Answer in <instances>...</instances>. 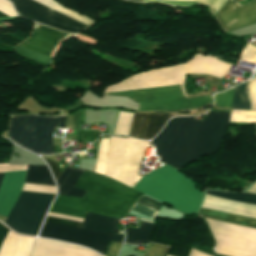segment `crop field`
<instances>
[{
    "mask_svg": "<svg viewBox=\"0 0 256 256\" xmlns=\"http://www.w3.org/2000/svg\"><path fill=\"white\" fill-rule=\"evenodd\" d=\"M148 144L111 137L104 175L133 188L140 178L137 173ZM105 176L85 171L74 185L87 191L84 198L57 195L50 211L82 218L87 211L122 218L141 193Z\"/></svg>",
    "mask_w": 256,
    "mask_h": 256,
    "instance_id": "obj_1",
    "label": "crop field"
},
{
    "mask_svg": "<svg viewBox=\"0 0 256 256\" xmlns=\"http://www.w3.org/2000/svg\"><path fill=\"white\" fill-rule=\"evenodd\" d=\"M230 64L216 58L195 54L184 64L134 75L106 88L104 93L182 84L186 73L209 74L222 78ZM181 85L109 93L124 96L139 104L138 111H192L212 105V97L186 98ZM183 93L185 94L184 90Z\"/></svg>",
    "mask_w": 256,
    "mask_h": 256,
    "instance_id": "obj_2",
    "label": "crop field"
},
{
    "mask_svg": "<svg viewBox=\"0 0 256 256\" xmlns=\"http://www.w3.org/2000/svg\"><path fill=\"white\" fill-rule=\"evenodd\" d=\"M230 113L208 112L204 121L174 118L152 140L160 162L181 168L218 150Z\"/></svg>",
    "mask_w": 256,
    "mask_h": 256,
    "instance_id": "obj_3",
    "label": "crop field"
},
{
    "mask_svg": "<svg viewBox=\"0 0 256 256\" xmlns=\"http://www.w3.org/2000/svg\"><path fill=\"white\" fill-rule=\"evenodd\" d=\"M184 173L164 165L145 175L134 187L186 214H196L204 193Z\"/></svg>",
    "mask_w": 256,
    "mask_h": 256,
    "instance_id": "obj_4",
    "label": "crop field"
},
{
    "mask_svg": "<svg viewBox=\"0 0 256 256\" xmlns=\"http://www.w3.org/2000/svg\"><path fill=\"white\" fill-rule=\"evenodd\" d=\"M54 128H65V116H11V141L37 154H52Z\"/></svg>",
    "mask_w": 256,
    "mask_h": 256,
    "instance_id": "obj_5",
    "label": "crop field"
},
{
    "mask_svg": "<svg viewBox=\"0 0 256 256\" xmlns=\"http://www.w3.org/2000/svg\"><path fill=\"white\" fill-rule=\"evenodd\" d=\"M217 194L256 202V195L254 194H248L243 192L217 193ZM221 195L205 192V197L201 206L256 218L255 202L230 198V197L221 196ZM203 207L200 208V211L197 216L256 229L255 218L226 213V212L212 210V209L203 208Z\"/></svg>",
    "mask_w": 256,
    "mask_h": 256,
    "instance_id": "obj_6",
    "label": "crop field"
},
{
    "mask_svg": "<svg viewBox=\"0 0 256 256\" xmlns=\"http://www.w3.org/2000/svg\"><path fill=\"white\" fill-rule=\"evenodd\" d=\"M54 196L22 192L4 223L16 232L36 236Z\"/></svg>",
    "mask_w": 256,
    "mask_h": 256,
    "instance_id": "obj_7",
    "label": "crop field"
},
{
    "mask_svg": "<svg viewBox=\"0 0 256 256\" xmlns=\"http://www.w3.org/2000/svg\"><path fill=\"white\" fill-rule=\"evenodd\" d=\"M9 1L13 3L18 15L38 23L73 34L89 28L32 0Z\"/></svg>",
    "mask_w": 256,
    "mask_h": 256,
    "instance_id": "obj_8",
    "label": "crop field"
},
{
    "mask_svg": "<svg viewBox=\"0 0 256 256\" xmlns=\"http://www.w3.org/2000/svg\"><path fill=\"white\" fill-rule=\"evenodd\" d=\"M39 236L87 246L103 254L109 234L82 230L45 222Z\"/></svg>",
    "mask_w": 256,
    "mask_h": 256,
    "instance_id": "obj_9",
    "label": "crop field"
},
{
    "mask_svg": "<svg viewBox=\"0 0 256 256\" xmlns=\"http://www.w3.org/2000/svg\"><path fill=\"white\" fill-rule=\"evenodd\" d=\"M215 18L224 32L256 23V0L244 6L229 0Z\"/></svg>",
    "mask_w": 256,
    "mask_h": 256,
    "instance_id": "obj_10",
    "label": "crop field"
},
{
    "mask_svg": "<svg viewBox=\"0 0 256 256\" xmlns=\"http://www.w3.org/2000/svg\"><path fill=\"white\" fill-rule=\"evenodd\" d=\"M252 110H256V80L249 81ZM231 109L250 110L247 82L234 89ZM229 122H256V112L232 110Z\"/></svg>",
    "mask_w": 256,
    "mask_h": 256,
    "instance_id": "obj_11",
    "label": "crop field"
},
{
    "mask_svg": "<svg viewBox=\"0 0 256 256\" xmlns=\"http://www.w3.org/2000/svg\"><path fill=\"white\" fill-rule=\"evenodd\" d=\"M70 36L58 30L36 24L31 36L18 45L51 56L58 43Z\"/></svg>",
    "mask_w": 256,
    "mask_h": 256,
    "instance_id": "obj_12",
    "label": "crop field"
},
{
    "mask_svg": "<svg viewBox=\"0 0 256 256\" xmlns=\"http://www.w3.org/2000/svg\"><path fill=\"white\" fill-rule=\"evenodd\" d=\"M27 170L5 172L0 182V215L7 217L24 184Z\"/></svg>",
    "mask_w": 256,
    "mask_h": 256,
    "instance_id": "obj_13",
    "label": "crop field"
},
{
    "mask_svg": "<svg viewBox=\"0 0 256 256\" xmlns=\"http://www.w3.org/2000/svg\"><path fill=\"white\" fill-rule=\"evenodd\" d=\"M171 115L167 113H135L128 136L152 139Z\"/></svg>",
    "mask_w": 256,
    "mask_h": 256,
    "instance_id": "obj_14",
    "label": "crop field"
},
{
    "mask_svg": "<svg viewBox=\"0 0 256 256\" xmlns=\"http://www.w3.org/2000/svg\"><path fill=\"white\" fill-rule=\"evenodd\" d=\"M31 256H100L87 249L38 238Z\"/></svg>",
    "mask_w": 256,
    "mask_h": 256,
    "instance_id": "obj_15",
    "label": "crop field"
},
{
    "mask_svg": "<svg viewBox=\"0 0 256 256\" xmlns=\"http://www.w3.org/2000/svg\"><path fill=\"white\" fill-rule=\"evenodd\" d=\"M6 228L0 224V241ZM35 238L18 236L6 230L0 244V256H29Z\"/></svg>",
    "mask_w": 256,
    "mask_h": 256,
    "instance_id": "obj_16",
    "label": "crop field"
},
{
    "mask_svg": "<svg viewBox=\"0 0 256 256\" xmlns=\"http://www.w3.org/2000/svg\"><path fill=\"white\" fill-rule=\"evenodd\" d=\"M116 222L117 219L88 212L80 228L112 234L110 240L121 243L123 236L116 235Z\"/></svg>",
    "mask_w": 256,
    "mask_h": 256,
    "instance_id": "obj_17",
    "label": "crop field"
},
{
    "mask_svg": "<svg viewBox=\"0 0 256 256\" xmlns=\"http://www.w3.org/2000/svg\"><path fill=\"white\" fill-rule=\"evenodd\" d=\"M83 172L84 170L73 169L67 166L61 177L56 182L58 186V194L82 198L85 191L79 190L72 186L83 174Z\"/></svg>",
    "mask_w": 256,
    "mask_h": 256,
    "instance_id": "obj_18",
    "label": "crop field"
},
{
    "mask_svg": "<svg viewBox=\"0 0 256 256\" xmlns=\"http://www.w3.org/2000/svg\"><path fill=\"white\" fill-rule=\"evenodd\" d=\"M25 182L55 186L47 166L29 165Z\"/></svg>",
    "mask_w": 256,
    "mask_h": 256,
    "instance_id": "obj_19",
    "label": "crop field"
},
{
    "mask_svg": "<svg viewBox=\"0 0 256 256\" xmlns=\"http://www.w3.org/2000/svg\"><path fill=\"white\" fill-rule=\"evenodd\" d=\"M153 224L141 223L139 230L126 228L127 243L137 244L138 242L147 244L154 229Z\"/></svg>",
    "mask_w": 256,
    "mask_h": 256,
    "instance_id": "obj_20",
    "label": "crop field"
},
{
    "mask_svg": "<svg viewBox=\"0 0 256 256\" xmlns=\"http://www.w3.org/2000/svg\"><path fill=\"white\" fill-rule=\"evenodd\" d=\"M34 1L39 2L43 5H46V6L52 8V9L58 11V12H61V13L65 14V15L73 18V19H76V20H78V21H80V22H82V23H84L88 26H90L91 24L94 23V21H92L88 18H85V17L69 10L68 8L54 2L53 0H34Z\"/></svg>",
    "mask_w": 256,
    "mask_h": 256,
    "instance_id": "obj_21",
    "label": "crop field"
},
{
    "mask_svg": "<svg viewBox=\"0 0 256 256\" xmlns=\"http://www.w3.org/2000/svg\"><path fill=\"white\" fill-rule=\"evenodd\" d=\"M137 202L140 203V204H143V205H145V206L151 207V208H153V209H156V210H158V211H160V209H161V207H162V205H163V204H161V203H159V202H157V201H154V200H152V199H149V198H147V197H145V196H142ZM138 203H135V205H134L133 208H132L133 210L138 211V212H141V213H143V214H146V215H149V216L153 217V215H154V213H155V210L150 209V208H148V207H145V206H143V205H140V204H138ZM143 220H144V219H143ZM147 221H148V220H147ZM151 222H152V221H151Z\"/></svg>",
    "mask_w": 256,
    "mask_h": 256,
    "instance_id": "obj_22",
    "label": "crop field"
},
{
    "mask_svg": "<svg viewBox=\"0 0 256 256\" xmlns=\"http://www.w3.org/2000/svg\"><path fill=\"white\" fill-rule=\"evenodd\" d=\"M132 115L130 113H118L115 129L113 134H118V135H128Z\"/></svg>",
    "mask_w": 256,
    "mask_h": 256,
    "instance_id": "obj_23",
    "label": "crop field"
},
{
    "mask_svg": "<svg viewBox=\"0 0 256 256\" xmlns=\"http://www.w3.org/2000/svg\"><path fill=\"white\" fill-rule=\"evenodd\" d=\"M233 89L234 87L226 92L218 93L214 95L216 107L230 108ZM210 111L230 112V110H224V109H211Z\"/></svg>",
    "mask_w": 256,
    "mask_h": 256,
    "instance_id": "obj_24",
    "label": "crop field"
},
{
    "mask_svg": "<svg viewBox=\"0 0 256 256\" xmlns=\"http://www.w3.org/2000/svg\"><path fill=\"white\" fill-rule=\"evenodd\" d=\"M109 139L102 138L99 144V152L96 160L95 172L103 175Z\"/></svg>",
    "mask_w": 256,
    "mask_h": 256,
    "instance_id": "obj_25",
    "label": "crop field"
},
{
    "mask_svg": "<svg viewBox=\"0 0 256 256\" xmlns=\"http://www.w3.org/2000/svg\"><path fill=\"white\" fill-rule=\"evenodd\" d=\"M168 247L149 243L148 248L143 256H164Z\"/></svg>",
    "mask_w": 256,
    "mask_h": 256,
    "instance_id": "obj_26",
    "label": "crop field"
},
{
    "mask_svg": "<svg viewBox=\"0 0 256 256\" xmlns=\"http://www.w3.org/2000/svg\"><path fill=\"white\" fill-rule=\"evenodd\" d=\"M23 190L55 194L56 189L52 186L36 185L25 183Z\"/></svg>",
    "mask_w": 256,
    "mask_h": 256,
    "instance_id": "obj_27",
    "label": "crop field"
},
{
    "mask_svg": "<svg viewBox=\"0 0 256 256\" xmlns=\"http://www.w3.org/2000/svg\"><path fill=\"white\" fill-rule=\"evenodd\" d=\"M195 1H198L200 3L210 6L209 10L213 15V17L217 13V11L221 8V6L226 2V0H195Z\"/></svg>",
    "mask_w": 256,
    "mask_h": 256,
    "instance_id": "obj_28",
    "label": "crop field"
},
{
    "mask_svg": "<svg viewBox=\"0 0 256 256\" xmlns=\"http://www.w3.org/2000/svg\"><path fill=\"white\" fill-rule=\"evenodd\" d=\"M0 13L6 15L8 17L16 16V14L11 6V3L6 0H0ZM2 14H0V18L6 17Z\"/></svg>",
    "mask_w": 256,
    "mask_h": 256,
    "instance_id": "obj_29",
    "label": "crop field"
},
{
    "mask_svg": "<svg viewBox=\"0 0 256 256\" xmlns=\"http://www.w3.org/2000/svg\"><path fill=\"white\" fill-rule=\"evenodd\" d=\"M254 47L247 45L240 59L256 63V48Z\"/></svg>",
    "mask_w": 256,
    "mask_h": 256,
    "instance_id": "obj_30",
    "label": "crop field"
},
{
    "mask_svg": "<svg viewBox=\"0 0 256 256\" xmlns=\"http://www.w3.org/2000/svg\"><path fill=\"white\" fill-rule=\"evenodd\" d=\"M47 222H52V223H57V224H63V225H68V226H73V227H80L81 223L80 222H75V221H70V220H64V219H59V218H54V217H46Z\"/></svg>",
    "mask_w": 256,
    "mask_h": 256,
    "instance_id": "obj_31",
    "label": "crop field"
},
{
    "mask_svg": "<svg viewBox=\"0 0 256 256\" xmlns=\"http://www.w3.org/2000/svg\"><path fill=\"white\" fill-rule=\"evenodd\" d=\"M45 161L47 162V164L49 165L52 174L54 176L55 181H57V179L59 178L61 171L57 165V163L52 162L51 160L45 159Z\"/></svg>",
    "mask_w": 256,
    "mask_h": 256,
    "instance_id": "obj_32",
    "label": "crop field"
},
{
    "mask_svg": "<svg viewBox=\"0 0 256 256\" xmlns=\"http://www.w3.org/2000/svg\"><path fill=\"white\" fill-rule=\"evenodd\" d=\"M120 246L121 244L119 243L110 242V245L105 256H117Z\"/></svg>",
    "mask_w": 256,
    "mask_h": 256,
    "instance_id": "obj_33",
    "label": "crop field"
},
{
    "mask_svg": "<svg viewBox=\"0 0 256 256\" xmlns=\"http://www.w3.org/2000/svg\"><path fill=\"white\" fill-rule=\"evenodd\" d=\"M47 215H49V216H54V217H59V218L70 219V220H75V221H80V222L83 221L82 218H77V217H72V216H66V215H61V214H56V213H51V212H48Z\"/></svg>",
    "mask_w": 256,
    "mask_h": 256,
    "instance_id": "obj_34",
    "label": "crop field"
},
{
    "mask_svg": "<svg viewBox=\"0 0 256 256\" xmlns=\"http://www.w3.org/2000/svg\"><path fill=\"white\" fill-rule=\"evenodd\" d=\"M28 165L8 166L6 171L27 169Z\"/></svg>",
    "mask_w": 256,
    "mask_h": 256,
    "instance_id": "obj_35",
    "label": "crop field"
},
{
    "mask_svg": "<svg viewBox=\"0 0 256 256\" xmlns=\"http://www.w3.org/2000/svg\"><path fill=\"white\" fill-rule=\"evenodd\" d=\"M246 192L256 194V182Z\"/></svg>",
    "mask_w": 256,
    "mask_h": 256,
    "instance_id": "obj_36",
    "label": "crop field"
},
{
    "mask_svg": "<svg viewBox=\"0 0 256 256\" xmlns=\"http://www.w3.org/2000/svg\"><path fill=\"white\" fill-rule=\"evenodd\" d=\"M8 164H0V172L5 171ZM4 172L0 173V180Z\"/></svg>",
    "mask_w": 256,
    "mask_h": 256,
    "instance_id": "obj_37",
    "label": "crop field"
},
{
    "mask_svg": "<svg viewBox=\"0 0 256 256\" xmlns=\"http://www.w3.org/2000/svg\"><path fill=\"white\" fill-rule=\"evenodd\" d=\"M135 1H143V0H135Z\"/></svg>",
    "mask_w": 256,
    "mask_h": 256,
    "instance_id": "obj_38",
    "label": "crop field"
},
{
    "mask_svg": "<svg viewBox=\"0 0 256 256\" xmlns=\"http://www.w3.org/2000/svg\"><path fill=\"white\" fill-rule=\"evenodd\" d=\"M120 233L122 234V231Z\"/></svg>",
    "mask_w": 256,
    "mask_h": 256,
    "instance_id": "obj_39",
    "label": "crop field"
}]
</instances>
